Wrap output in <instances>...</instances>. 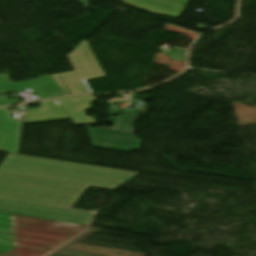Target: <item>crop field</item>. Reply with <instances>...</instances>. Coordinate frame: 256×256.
<instances>
[{
  "mask_svg": "<svg viewBox=\"0 0 256 256\" xmlns=\"http://www.w3.org/2000/svg\"><path fill=\"white\" fill-rule=\"evenodd\" d=\"M15 247L49 252L84 226L13 215Z\"/></svg>",
  "mask_w": 256,
  "mask_h": 256,
  "instance_id": "1",
  "label": "crop field"
},
{
  "mask_svg": "<svg viewBox=\"0 0 256 256\" xmlns=\"http://www.w3.org/2000/svg\"><path fill=\"white\" fill-rule=\"evenodd\" d=\"M145 109H137L135 112L125 111L123 118L114 117L107 120L106 123L113 124L108 128H88L91 134L94 148L116 150V151H140L141 139H136L133 135V126L139 115H145ZM115 130H126L131 132H119Z\"/></svg>",
  "mask_w": 256,
  "mask_h": 256,
  "instance_id": "2",
  "label": "crop field"
},
{
  "mask_svg": "<svg viewBox=\"0 0 256 256\" xmlns=\"http://www.w3.org/2000/svg\"><path fill=\"white\" fill-rule=\"evenodd\" d=\"M75 71L60 76L70 94H91L85 80L104 77L86 39L68 55ZM93 94V93H92Z\"/></svg>",
  "mask_w": 256,
  "mask_h": 256,
  "instance_id": "3",
  "label": "crop field"
},
{
  "mask_svg": "<svg viewBox=\"0 0 256 256\" xmlns=\"http://www.w3.org/2000/svg\"><path fill=\"white\" fill-rule=\"evenodd\" d=\"M22 122L10 117L8 108H0V151L17 154Z\"/></svg>",
  "mask_w": 256,
  "mask_h": 256,
  "instance_id": "4",
  "label": "crop field"
},
{
  "mask_svg": "<svg viewBox=\"0 0 256 256\" xmlns=\"http://www.w3.org/2000/svg\"><path fill=\"white\" fill-rule=\"evenodd\" d=\"M138 9L179 18L190 0H121Z\"/></svg>",
  "mask_w": 256,
  "mask_h": 256,
  "instance_id": "5",
  "label": "crop field"
},
{
  "mask_svg": "<svg viewBox=\"0 0 256 256\" xmlns=\"http://www.w3.org/2000/svg\"><path fill=\"white\" fill-rule=\"evenodd\" d=\"M75 125L94 123L92 116L86 117L84 111L91 109L89 102L94 101V96H73L57 99Z\"/></svg>",
  "mask_w": 256,
  "mask_h": 256,
  "instance_id": "6",
  "label": "crop field"
},
{
  "mask_svg": "<svg viewBox=\"0 0 256 256\" xmlns=\"http://www.w3.org/2000/svg\"><path fill=\"white\" fill-rule=\"evenodd\" d=\"M55 100L40 102L41 107L27 110L24 124L68 119Z\"/></svg>",
  "mask_w": 256,
  "mask_h": 256,
  "instance_id": "7",
  "label": "crop field"
},
{
  "mask_svg": "<svg viewBox=\"0 0 256 256\" xmlns=\"http://www.w3.org/2000/svg\"><path fill=\"white\" fill-rule=\"evenodd\" d=\"M30 89H34L40 100L64 95L50 76L40 77L25 82Z\"/></svg>",
  "mask_w": 256,
  "mask_h": 256,
  "instance_id": "8",
  "label": "crop field"
},
{
  "mask_svg": "<svg viewBox=\"0 0 256 256\" xmlns=\"http://www.w3.org/2000/svg\"><path fill=\"white\" fill-rule=\"evenodd\" d=\"M14 247L12 215L0 213V255Z\"/></svg>",
  "mask_w": 256,
  "mask_h": 256,
  "instance_id": "9",
  "label": "crop field"
},
{
  "mask_svg": "<svg viewBox=\"0 0 256 256\" xmlns=\"http://www.w3.org/2000/svg\"><path fill=\"white\" fill-rule=\"evenodd\" d=\"M28 87L24 82L13 83L9 80L8 74H0V94L2 93H11V92H20L24 91ZM19 99L7 100L5 97L0 98V106L12 105L19 103Z\"/></svg>",
  "mask_w": 256,
  "mask_h": 256,
  "instance_id": "10",
  "label": "crop field"
},
{
  "mask_svg": "<svg viewBox=\"0 0 256 256\" xmlns=\"http://www.w3.org/2000/svg\"><path fill=\"white\" fill-rule=\"evenodd\" d=\"M45 254V252L14 248L11 251L4 254L3 256H43Z\"/></svg>",
  "mask_w": 256,
  "mask_h": 256,
  "instance_id": "11",
  "label": "crop field"
},
{
  "mask_svg": "<svg viewBox=\"0 0 256 256\" xmlns=\"http://www.w3.org/2000/svg\"><path fill=\"white\" fill-rule=\"evenodd\" d=\"M186 52V50L173 48L166 56L172 58L173 60L185 61Z\"/></svg>",
  "mask_w": 256,
  "mask_h": 256,
  "instance_id": "12",
  "label": "crop field"
},
{
  "mask_svg": "<svg viewBox=\"0 0 256 256\" xmlns=\"http://www.w3.org/2000/svg\"><path fill=\"white\" fill-rule=\"evenodd\" d=\"M52 79L56 82V84L60 87V89L64 92L65 95L68 94L59 74L51 75Z\"/></svg>",
  "mask_w": 256,
  "mask_h": 256,
  "instance_id": "13",
  "label": "crop field"
},
{
  "mask_svg": "<svg viewBox=\"0 0 256 256\" xmlns=\"http://www.w3.org/2000/svg\"><path fill=\"white\" fill-rule=\"evenodd\" d=\"M76 1H79V2H83V3H85V1H86V0H76Z\"/></svg>",
  "mask_w": 256,
  "mask_h": 256,
  "instance_id": "14",
  "label": "crop field"
}]
</instances>
